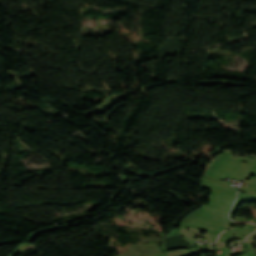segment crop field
<instances>
[{"label": "crop field", "mask_w": 256, "mask_h": 256, "mask_svg": "<svg viewBox=\"0 0 256 256\" xmlns=\"http://www.w3.org/2000/svg\"><path fill=\"white\" fill-rule=\"evenodd\" d=\"M120 256H166L158 244H146L131 247L125 254Z\"/></svg>", "instance_id": "8a807250"}]
</instances>
